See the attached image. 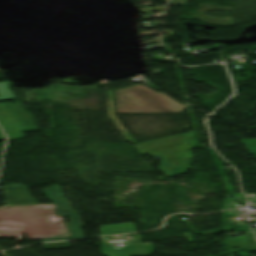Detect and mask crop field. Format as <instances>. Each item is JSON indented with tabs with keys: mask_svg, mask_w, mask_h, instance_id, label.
<instances>
[{
	"mask_svg": "<svg viewBox=\"0 0 256 256\" xmlns=\"http://www.w3.org/2000/svg\"><path fill=\"white\" fill-rule=\"evenodd\" d=\"M45 249L68 247L67 242L43 244Z\"/></svg>",
	"mask_w": 256,
	"mask_h": 256,
	"instance_id": "5",
	"label": "crop field"
},
{
	"mask_svg": "<svg viewBox=\"0 0 256 256\" xmlns=\"http://www.w3.org/2000/svg\"><path fill=\"white\" fill-rule=\"evenodd\" d=\"M117 113H180L186 107L142 84L116 90Z\"/></svg>",
	"mask_w": 256,
	"mask_h": 256,
	"instance_id": "2",
	"label": "crop field"
},
{
	"mask_svg": "<svg viewBox=\"0 0 256 256\" xmlns=\"http://www.w3.org/2000/svg\"><path fill=\"white\" fill-rule=\"evenodd\" d=\"M46 197L56 205L55 213L59 216L69 217L72 222L64 224L69 236L61 238L42 239L43 241L58 240V239H76L81 238L82 232L80 227L83 226L76 211L71 209L67 200H64L58 185L51 186L49 189H44Z\"/></svg>",
	"mask_w": 256,
	"mask_h": 256,
	"instance_id": "3",
	"label": "crop field"
},
{
	"mask_svg": "<svg viewBox=\"0 0 256 256\" xmlns=\"http://www.w3.org/2000/svg\"><path fill=\"white\" fill-rule=\"evenodd\" d=\"M108 117L123 134L127 141L134 144L140 154L158 156L161 159L159 166L165 177H174L184 173L192 166V151L194 145L193 133L188 131L184 134L174 135L153 141L136 144L119 120L114 115L113 90L107 92Z\"/></svg>",
	"mask_w": 256,
	"mask_h": 256,
	"instance_id": "1",
	"label": "crop field"
},
{
	"mask_svg": "<svg viewBox=\"0 0 256 256\" xmlns=\"http://www.w3.org/2000/svg\"><path fill=\"white\" fill-rule=\"evenodd\" d=\"M3 189L11 205L35 204L28 195L25 185L6 186Z\"/></svg>",
	"mask_w": 256,
	"mask_h": 256,
	"instance_id": "4",
	"label": "crop field"
}]
</instances>
